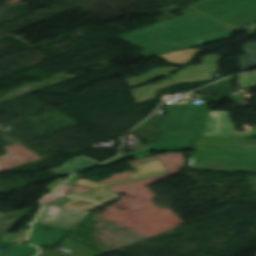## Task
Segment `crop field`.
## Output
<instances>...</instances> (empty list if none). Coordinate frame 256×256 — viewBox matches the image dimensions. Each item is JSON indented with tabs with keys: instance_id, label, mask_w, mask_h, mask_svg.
Listing matches in <instances>:
<instances>
[{
	"instance_id": "8a807250",
	"label": "crop field",
	"mask_w": 256,
	"mask_h": 256,
	"mask_svg": "<svg viewBox=\"0 0 256 256\" xmlns=\"http://www.w3.org/2000/svg\"><path fill=\"white\" fill-rule=\"evenodd\" d=\"M207 110L206 104L190 105L187 101L173 103L165 121L160 123L161 139L145 145L159 151L194 149ZM196 149L241 151L237 139L219 138H199Z\"/></svg>"
},
{
	"instance_id": "ac0d7876",
	"label": "crop field",
	"mask_w": 256,
	"mask_h": 256,
	"mask_svg": "<svg viewBox=\"0 0 256 256\" xmlns=\"http://www.w3.org/2000/svg\"><path fill=\"white\" fill-rule=\"evenodd\" d=\"M231 29L196 12L118 36L144 50Z\"/></svg>"
},
{
	"instance_id": "34b2d1b8",
	"label": "crop field",
	"mask_w": 256,
	"mask_h": 256,
	"mask_svg": "<svg viewBox=\"0 0 256 256\" xmlns=\"http://www.w3.org/2000/svg\"><path fill=\"white\" fill-rule=\"evenodd\" d=\"M238 140L242 152L198 151L192 153L189 167L216 171L256 172V140Z\"/></svg>"
},
{
	"instance_id": "412701ff",
	"label": "crop field",
	"mask_w": 256,
	"mask_h": 256,
	"mask_svg": "<svg viewBox=\"0 0 256 256\" xmlns=\"http://www.w3.org/2000/svg\"><path fill=\"white\" fill-rule=\"evenodd\" d=\"M139 173L131 174L133 179L130 180H125V181H120V182H115V183H110V184H103V183H92L88 180L80 179L77 184L88 186V187H94L97 188L93 191H90L85 194H78V195H72L70 196L72 199L66 202L65 204L62 205V207H68V208H74V209H80L84 211H88L90 209H93L97 206H100L102 204H105L107 202H110L114 199L119 198V196L115 193H109L105 192L107 186L123 183V182H128L136 179H141L153 175H158V174H163L166 173V169L160 162L154 161V162H149L145 164H139L136 165ZM96 198H101L100 200H97ZM85 200L89 201L92 203L81 205V206H75L73 203Z\"/></svg>"
},
{
	"instance_id": "f4fd0767",
	"label": "crop field",
	"mask_w": 256,
	"mask_h": 256,
	"mask_svg": "<svg viewBox=\"0 0 256 256\" xmlns=\"http://www.w3.org/2000/svg\"><path fill=\"white\" fill-rule=\"evenodd\" d=\"M201 137L251 138L256 137V131L234 133L228 112L209 111Z\"/></svg>"
},
{
	"instance_id": "dd49c442",
	"label": "crop field",
	"mask_w": 256,
	"mask_h": 256,
	"mask_svg": "<svg viewBox=\"0 0 256 256\" xmlns=\"http://www.w3.org/2000/svg\"><path fill=\"white\" fill-rule=\"evenodd\" d=\"M84 214L85 212L80 210L44 206L37 221L72 228Z\"/></svg>"
},
{
	"instance_id": "e52e79f7",
	"label": "crop field",
	"mask_w": 256,
	"mask_h": 256,
	"mask_svg": "<svg viewBox=\"0 0 256 256\" xmlns=\"http://www.w3.org/2000/svg\"><path fill=\"white\" fill-rule=\"evenodd\" d=\"M45 227H52L54 230L42 232ZM69 230V228L35 222L29 236L28 243L40 246L55 247Z\"/></svg>"
},
{
	"instance_id": "d8731c3e",
	"label": "crop field",
	"mask_w": 256,
	"mask_h": 256,
	"mask_svg": "<svg viewBox=\"0 0 256 256\" xmlns=\"http://www.w3.org/2000/svg\"><path fill=\"white\" fill-rule=\"evenodd\" d=\"M232 30H228V31H224V32H220V33H216V34H212V35H208V36H204V37H200V38H196V39H192V40H188V41H184V42H180V43H176V44H172V45L159 47V48H156V49L140 52V54H142L146 58H149V57L165 54V53H168V52H172V51H176V50H180V49H185V48H189V47H192V46H196V45H200V44H204V43H208V42L228 38V37L231 36ZM203 39H207V40H204L200 43L196 42L197 40H203ZM155 51H158V52L145 55L147 53H151V52H155Z\"/></svg>"
},
{
	"instance_id": "5a996713",
	"label": "crop field",
	"mask_w": 256,
	"mask_h": 256,
	"mask_svg": "<svg viewBox=\"0 0 256 256\" xmlns=\"http://www.w3.org/2000/svg\"><path fill=\"white\" fill-rule=\"evenodd\" d=\"M96 163H99V162L94 161V160L89 159L84 156H77V157H74V158L68 160L67 164L62 165V168L49 169L48 171L55 173V174H59V175H69L75 171L87 168Z\"/></svg>"
},
{
	"instance_id": "3316defc",
	"label": "crop field",
	"mask_w": 256,
	"mask_h": 256,
	"mask_svg": "<svg viewBox=\"0 0 256 256\" xmlns=\"http://www.w3.org/2000/svg\"><path fill=\"white\" fill-rule=\"evenodd\" d=\"M243 50L246 55L238 56L241 70L256 67V42H245Z\"/></svg>"
},
{
	"instance_id": "28ad6ade",
	"label": "crop field",
	"mask_w": 256,
	"mask_h": 256,
	"mask_svg": "<svg viewBox=\"0 0 256 256\" xmlns=\"http://www.w3.org/2000/svg\"><path fill=\"white\" fill-rule=\"evenodd\" d=\"M38 252V249L22 244H15L7 253L3 256H34Z\"/></svg>"
},
{
	"instance_id": "d1516ede",
	"label": "crop field",
	"mask_w": 256,
	"mask_h": 256,
	"mask_svg": "<svg viewBox=\"0 0 256 256\" xmlns=\"http://www.w3.org/2000/svg\"><path fill=\"white\" fill-rule=\"evenodd\" d=\"M241 87L252 88L256 86V73L240 76Z\"/></svg>"
},
{
	"instance_id": "22f410ed",
	"label": "crop field",
	"mask_w": 256,
	"mask_h": 256,
	"mask_svg": "<svg viewBox=\"0 0 256 256\" xmlns=\"http://www.w3.org/2000/svg\"><path fill=\"white\" fill-rule=\"evenodd\" d=\"M12 244H13V243H11V242L1 241V242H0V256H1Z\"/></svg>"
},
{
	"instance_id": "cbeb9de0",
	"label": "crop field",
	"mask_w": 256,
	"mask_h": 256,
	"mask_svg": "<svg viewBox=\"0 0 256 256\" xmlns=\"http://www.w3.org/2000/svg\"><path fill=\"white\" fill-rule=\"evenodd\" d=\"M64 180L62 179H58L55 182H53L48 188L47 191H52L54 189H56Z\"/></svg>"
},
{
	"instance_id": "5142ce71",
	"label": "crop field",
	"mask_w": 256,
	"mask_h": 256,
	"mask_svg": "<svg viewBox=\"0 0 256 256\" xmlns=\"http://www.w3.org/2000/svg\"><path fill=\"white\" fill-rule=\"evenodd\" d=\"M81 175H82V174L74 175L73 177H71L70 179H68V180L66 181V183L73 185V184L75 183V181H76Z\"/></svg>"
},
{
	"instance_id": "d9b57169",
	"label": "crop field",
	"mask_w": 256,
	"mask_h": 256,
	"mask_svg": "<svg viewBox=\"0 0 256 256\" xmlns=\"http://www.w3.org/2000/svg\"><path fill=\"white\" fill-rule=\"evenodd\" d=\"M0 216H4V215L0 214Z\"/></svg>"
},
{
	"instance_id": "733c2abd",
	"label": "crop field",
	"mask_w": 256,
	"mask_h": 256,
	"mask_svg": "<svg viewBox=\"0 0 256 256\" xmlns=\"http://www.w3.org/2000/svg\"><path fill=\"white\" fill-rule=\"evenodd\" d=\"M39 256H43V255H39Z\"/></svg>"
}]
</instances>
